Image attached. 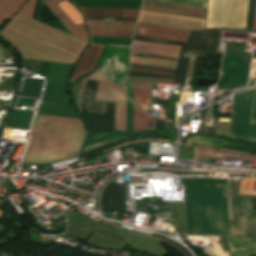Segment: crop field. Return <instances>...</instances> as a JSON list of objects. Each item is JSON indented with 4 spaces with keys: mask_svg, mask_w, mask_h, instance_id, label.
Returning <instances> with one entry per match:
<instances>
[{
    "mask_svg": "<svg viewBox=\"0 0 256 256\" xmlns=\"http://www.w3.org/2000/svg\"><path fill=\"white\" fill-rule=\"evenodd\" d=\"M45 133L42 143L29 142L24 162L48 164L78 156L85 139L79 119L36 114L32 130Z\"/></svg>",
    "mask_w": 256,
    "mask_h": 256,
    "instance_id": "8a807250",
    "label": "crop field"
},
{
    "mask_svg": "<svg viewBox=\"0 0 256 256\" xmlns=\"http://www.w3.org/2000/svg\"><path fill=\"white\" fill-rule=\"evenodd\" d=\"M87 80H100L95 102H116L115 107V130H124L126 128V96L123 91V85L115 84L100 69L92 75L81 79L73 85V95L75 104L80 111L81 97ZM81 112V111H80Z\"/></svg>",
    "mask_w": 256,
    "mask_h": 256,
    "instance_id": "ac0d7876",
    "label": "crop field"
},
{
    "mask_svg": "<svg viewBox=\"0 0 256 256\" xmlns=\"http://www.w3.org/2000/svg\"><path fill=\"white\" fill-rule=\"evenodd\" d=\"M249 0H209L205 28L245 29Z\"/></svg>",
    "mask_w": 256,
    "mask_h": 256,
    "instance_id": "34b2d1b8",
    "label": "crop field"
},
{
    "mask_svg": "<svg viewBox=\"0 0 256 256\" xmlns=\"http://www.w3.org/2000/svg\"><path fill=\"white\" fill-rule=\"evenodd\" d=\"M99 81H88L82 98V116L90 133L113 131L114 104L94 103Z\"/></svg>",
    "mask_w": 256,
    "mask_h": 256,
    "instance_id": "412701ff",
    "label": "crop field"
},
{
    "mask_svg": "<svg viewBox=\"0 0 256 256\" xmlns=\"http://www.w3.org/2000/svg\"><path fill=\"white\" fill-rule=\"evenodd\" d=\"M114 59V67L111 71V60ZM99 68L106 73L115 83L123 84L128 69V48L107 46L105 55Z\"/></svg>",
    "mask_w": 256,
    "mask_h": 256,
    "instance_id": "f4fd0767",
    "label": "crop field"
},
{
    "mask_svg": "<svg viewBox=\"0 0 256 256\" xmlns=\"http://www.w3.org/2000/svg\"><path fill=\"white\" fill-rule=\"evenodd\" d=\"M138 21L197 29L203 28L204 19L142 10Z\"/></svg>",
    "mask_w": 256,
    "mask_h": 256,
    "instance_id": "dd49c442",
    "label": "crop field"
},
{
    "mask_svg": "<svg viewBox=\"0 0 256 256\" xmlns=\"http://www.w3.org/2000/svg\"><path fill=\"white\" fill-rule=\"evenodd\" d=\"M65 0H43V2L49 7V9L56 15V17L62 22V24L69 30V32L77 37H80L87 41L88 34L86 32L84 23L75 26L73 22L68 18L64 11L59 7L57 3ZM37 0H29L19 13L29 17H33L34 9Z\"/></svg>",
    "mask_w": 256,
    "mask_h": 256,
    "instance_id": "e52e79f7",
    "label": "crop field"
},
{
    "mask_svg": "<svg viewBox=\"0 0 256 256\" xmlns=\"http://www.w3.org/2000/svg\"><path fill=\"white\" fill-rule=\"evenodd\" d=\"M255 89L238 96L232 137L247 140Z\"/></svg>",
    "mask_w": 256,
    "mask_h": 256,
    "instance_id": "d8731c3e",
    "label": "crop field"
},
{
    "mask_svg": "<svg viewBox=\"0 0 256 256\" xmlns=\"http://www.w3.org/2000/svg\"><path fill=\"white\" fill-rule=\"evenodd\" d=\"M190 31L138 23L135 35L186 41Z\"/></svg>",
    "mask_w": 256,
    "mask_h": 256,
    "instance_id": "5a996713",
    "label": "crop field"
},
{
    "mask_svg": "<svg viewBox=\"0 0 256 256\" xmlns=\"http://www.w3.org/2000/svg\"><path fill=\"white\" fill-rule=\"evenodd\" d=\"M245 201H234L235 220L230 221L232 236L245 237L244 228L256 227V218H249L250 205H244Z\"/></svg>",
    "mask_w": 256,
    "mask_h": 256,
    "instance_id": "3316defc",
    "label": "crop field"
},
{
    "mask_svg": "<svg viewBox=\"0 0 256 256\" xmlns=\"http://www.w3.org/2000/svg\"><path fill=\"white\" fill-rule=\"evenodd\" d=\"M102 211L117 212L116 219L123 220L124 186L111 185L101 199Z\"/></svg>",
    "mask_w": 256,
    "mask_h": 256,
    "instance_id": "28ad6ade",
    "label": "crop field"
},
{
    "mask_svg": "<svg viewBox=\"0 0 256 256\" xmlns=\"http://www.w3.org/2000/svg\"><path fill=\"white\" fill-rule=\"evenodd\" d=\"M103 48L104 46L89 45V47L86 49L85 53L83 54L81 60L79 61L71 77L70 82L92 71L96 67Z\"/></svg>",
    "mask_w": 256,
    "mask_h": 256,
    "instance_id": "d1516ede",
    "label": "crop field"
},
{
    "mask_svg": "<svg viewBox=\"0 0 256 256\" xmlns=\"http://www.w3.org/2000/svg\"><path fill=\"white\" fill-rule=\"evenodd\" d=\"M180 48L181 47L178 46L165 45L159 43L133 41L131 52L148 53L178 58Z\"/></svg>",
    "mask_w": 256,
    "mask_h": 256,
    "instance_id": "22f410ed",
    "label": "crop field"
},
{
    "mask_svg": "<svg viewBox=\"0 0 256 256\" xmlns=\"http://www.w3.org/2000/svg\"><path fill=\"white\" fill-rule=\"evenodd\" d=\"M238 158L256 161V157L195 147L193 159Z\"/></svg>",
    "mask_w": 256,
    "mask_h": 256,
    "instance_id": "cbeb9de0",
    "label": "crop field"
},
{
    "mask_svg": "<svg viewBox=\"0 0 256 256\" xmlns=\"http://www.w3.org/2000/svg\"><path fill=\"white\" fill-rule=\"evenodd\" d=\"M151 83L134 82V104L149 113Z\"/></svg>",
    "mask_w": 256,
    "mask_h": 256,
    "instance_id": "5142ce71",
    "label": "crop field"
},
{
    "mask_svg": "<svg viewBox=\"0 0 256 256\" xmlns=\"http://www.w3.org/2000/svg\"><path fill=\"white\" fill-rule=\"evenodd\" d=\"M90 29L133 31L136 22L87 20Z\"/></svg>",
    "mask_w": 256,
    "mask_h": 256,
    "instance_id": "d9b57169",
    "label": "crop field"
},
{
    "mask_svg": "<svg viewBox=\"0 0 256 256\" xmlns=\"http://www.w3.org/2000/svg\"><path fill=\"white\" fill-rule=\"evenodd\" d=\"M227 239L231 256H249V254L256 253V243L252 241L229 237Z\"/></svg>",
    "mask_w": 256,
    "mask_h": 256,
    "instance_id": "733c2abd",
    "label": "crop field"
},
{
    "mask_svg": "<svg viewBox=\"0 0 256 256\" xmlns=\"http://www.w3.org/2000/svg\"><path fill=\"white\" fill-rule=\"evenodd\" d=\"M184 48L185 47H182V49H181V53H180V57H179V60H178V66H177V71H176L175 77L148 74V73H140V72H132V71H130L128 75L145 76V77L175 78L174 83H181V85L184 86V77H185L188 61H189V58H190V57H182Z\"/></svg>",
    "mask_w": 256,
    "mask_h": 256,
    "instance_id": "4a817a6b",
    "label": "crop field"
},
{
    "mask_svg": "<svg viewBox=\"0 0 256 256\" xmlns=\"http://www.w3.org/2000/svg\"><path fill=\"white\" fill-rule=\"evenodd\" d=\"M26 0H0V28Z\"/></svg>",
    "mask_w": 256,
    "mask_h": 256,
    "instance_id": "bc2a9ffb",
    "label": "crop field"
},
{
    "mask_svg": "<svg viewBox=\"0 0 256 256\" xmlns=\"http://www.w3.org/2000/svg\"><path fill=\"white\" fill-rule=\"evenodd\" d=\"M83 13L137 16L139 10L79 7Z\"/></svg>",
    "mask_w": 256,
    "mask_h": 256,
    "instance_id": "214f88e0",
    "label": "crop field"
},
{
    "mask_svg": "<svg viewBox=\"0 0 256 256\" xmlns=\"http://www.w3.org/2000/svg\"><path fill=\"white\" fill-rule=\"evenodd\" d=\"M143 4L167 7V8H174V9H181V10H188V11H195V12H202V13H205V10H206V8H203V7L175 4V3L155 1V0H144Z\"/></svg>",
    "mask_w": 256,
    "mask_h": 256,
    "instance_id": "92a150f3",
    "label": "crop field"
},
{
    "mask_svg": "<svg viewBox=\"0 0 256 256\" xmlns=\"http://www.w3.org/2000/svg\"><path fill=\"white\" fill-rule=\"evenodd\" d=\"M126 142H128L126 134H121V135L115 136V137H113V138H110V139L101 141V142H99V143L86 146V147L84 148V152H87V151H89V150L98 148V147L103 146V145H105L106 148L109 149V148L118 146V145H120V144L126 143ZM84 152H83V153H84Z\"/></svg>",
    "mask_w": 256,
    "mask_h": 256,
    "instance_id": "dafd665d",
    "label": "crop field"
},
{
    "mask_svg": "<svg viewBox=\"0 0 256 256\" xmlns=\"http://www.w3.org/2000/svg\"><path fill=\"white\" fill-rule=\"evenodd\" d=\"M131 62L152 65V66H162V67H172L176 68L177 62L167 61L161 59H147V58H139V57H131Z\"/></svg>",
    "mask_w": 256,
    "mask_h": 256,
    "instance_id": "00972430",
    "label": "crop field"
},
{
    "mask_svg": "<svg viewBox=\"0 0 256 256\" xmlns=\"http://www.w3.org/2000/svg\"><path fill=\"white\" fill-rule=\"evenodd\" d=\"M60 7L65 11L75 25L83 23L84 19L81 13L74 8L68 1L59 3Z\"/></svg>",
    "mask_w": 256,
    "mask_h": 256,
    "instance_id": "a9b5d70f",
    "label": "crop field"
},
{
    "mask_svg": "<svg viewBox=\"0 0 256 256\" xmlns=\"http://www.w3.org/2000/svg\"><path fill=\"white\" fill-rule=\"evenodd\" d=\"M148 115L141 112L137 107L134 106V122L133 131H140L147 129Z\"/></svg>",
    "mask_w": 256,
    "mask_h": 256,
    "instance_id": "4177f3b9",
    "label": "crop field"
},
{
    "mask_svg": "<svg viewBox=\"0 0 256 256\" xmlns=\"http://www.w3.org/2000/svg\"><path fill=\"white\" fill-rule=\"evenodd\" d=\"M256 194V178L240 181L239 195Z\"/></svg>",
    "mask_w": 256,
    "mask_h": 256,
    "instance_id": "730fd06b",
    "label": "crop field"
},
{
    "mask_svg": "<svg viewBox=\"0 0 256 256\" xmlns=\"http://www.w3.org/2000/svg\"><path fill=\"white\" fill-rule=\"evenodd\" d=\"M93 36L131 38L133 32L90 30Z\"/></svg>",
    "mask_w": 256,
    "mask_h": 256,
    "instance_id": "eef30255",
    "label": "crop field"
},
{
    "mask_svg": "<svg viewBox=\"0 0 256 256\" xmlns=\"http://www.w3.org/2000/svg\"><path fill=\"white\" fill-rule=\"evenodd\" d=\"M142 8L152 9V10H159V11H166V12H173V13H180V14H187V15H194V16H201V17H204V15H205V14H202V13H195V12H188V11H181V10H174V9L146 6V5H143Z\"/></svg>",
    "mask_w": 256,
    "mask_h": 256,
    "instance_id": "ae1a2a85",
    "label": "crop field"
},
{
    "mask_svg": "<svg viewBox=\"0 0 256 256\" xmlns=\"http://www.w3.org/2000/svg\"><path fill=\"white\" fill-rule=\"evenodd\" d=\"M227 210L229 220L234 219L233 215V205H232V198H231V180L227 179Z\"/></svg>",
    "mask_w": 256,
    "mask_h": 256,
    "instance_id": "d3111659",
    "label": "crop field"
},
{
    "mask_svg": "<svg viewBox=\"0 0 256 256\" xmlns=\"http://www.w3.org/2000/svg\"><path fill=\"white\" fill-rule=\"evenodd\" d=\"M126 80L146 81V82H166V83H173V81H174V79L144 78V77H132V76H127Z\"/></svg>",
    "mask_w": 256,
    "mask_h": 256,
    "instance_id": "750c4746",
    "label": "crop field"
},
{
    "mask_svg": "<svg viewBox=\"0 0 256 256\" xmlns=\"http://www.w3.org/2000/svg\"><path fill=\"white\" fill-rule=\"evenodd\" d=\"M162 1H169V2H176V3H182V4H189V5H196V6L206 7V2L197 1V0H162Z\"/></svg>",
    "mask_w": 256,
    "mask_h": 256,
    "instance_id": "bd1437ed",
    "label": "crop field"
},
{
    "mask_svg": "<svg viewBox=\"0 0 256 256\" xmlns=\"http://www.w3.org/2000/svg\"><path fill=\"white\" fill-rule=\"evenodd\" d=\"M132 122H133V104L128 100V111H127L128 131H132Z\"/></svg>",
    "mask_w": 256,
    "mask_h": 256,
    "instance_id": "1d83c4d3",
    "label": "crop field"
},
{
    "mask_svg": "<svg viewBox=\"0 0 256 256\" xmlns=\"http://www.w3.org/2000/svg\"><path fill=\"white\" fill-rule=\"evenodd\" d=\"M248 141L256 142V124L251 123Z\"/></svg>",
    "mask_w": 256,
    "mask_h": 256,
    "instance_id": "120bbe31",
    "label": "crop field"
},
{
    "mask_svg": "<svg viewBox=\"0 0 256 256\" xmlns=\"http://www.w3.org/2000/svg\"><path fill=\"white\" fill-rule=\"evenodd\" d=\"M125 86L127 95L133 101V82L125 81Z\"/></svg>",
    "mask_w": 256,
    "mask_h": 256,
    "instance_id": "d32e631a",
    "label": "crop field"
},
{
    "mask_svg": "<svg viewBox=\"0 0 256 256\" xmlns=\"http://www.w3.org/2000/svg\"><path fill=\"white\" fill-rule=\"evenodd\" d=\"M85 16L137 19V17H128V16H110V15H92V14H85Z\"/></svg>",
    "mask_w": 256,
    "mask_h": 256,
    "instance_id": "5866460e",
    "label": "crop field"
},
{
    "mask_svg": "<svg viewBox=\"0 0 256 256\" xmlns=\"http://www.w3.org/2000/svg\"><path fill=\"white\" fill-rule=\"evenodd\" d=\"M130 70L174 76V74H171V73H163V72H156V71H149V70H141V69H134V68H130Z\"/></svg>",
    "mask_w": 256,
    "mask_h": 256,
    "instance_id": "028f5c9d",
    "label": "crop field"
},
{
    "mask_svg": "<svg viewBox=\"0 0 256 256\" xmlns=\"http://www.w3.org/2000/svg\"><path fill=\"white\" fill-rule=\"evenodd\" d=\"M155 129L164 130V121L156 119Z\"/></svg>",
    "mask_w": 256,
    "mask_h": 256,
    "instance_id": "e1f06a70",
    "label": "crop field"
},
{
    "mask_svg": "<svg viewBox=\"0 0 256 256\" xmlns=\"http://www.w3.org/2000/svg\"><path fill=\"white\" fill-rule=\"evenodd\" d=\"M87 19H99V20H124V21H136V20H129V19H111V18H94V17H86Z\"/></svg>",
    "mask_w": 256,
    "mask_h": 256,
    "instance_id": "0bd39190",
    "label": "crop field"
},
{
    "mask_svg": "<svg viewBox=\"0 0 256 256\" xmlns=\"http://www.w3.org/2000/svg\"><path fill=\"white\" fill-rule=\"evenodd\" d=\"M155 118L149 116L148 129H154Z\"/></svg>",
    "mask_w": 256,
    "mask_h": 256,
    "instance_id": "b80d0937",
    "label": "crop field"
},
{
    "mask_svg": "<svg viewBox=\"0 0 256 256\" xmlns=\"http://www.w3.org/2000/svg\"><path fill=\"white\" fill-rule=\"evenodd\" d=\"M252 121L256 122V96H255V103H254V110H253Z\"/></svg>",
    "mask_w": 256,
    "mask_h": 256,
    "instance_id": "c035e120",
    "label": "crop field"
},
{
    "mask_svg": "<svg viewBox=\"0 0 256 256\" xmlns=\"http://www.w3.org/2000/svg\"><path fill=\"white\" fill-rule=\"evenodd\" d=\"M253 29H256V9H255V17H254V25H253Z\"/></svg>",
    "mask_w": 256,
    "mask_h": 256,
    "instance_id": "c21b1889",
    "label": "crop field"
},
{
    "mask_svg": "<svg viewBox=\"0 0 256 256\" xmlns=\"http://www.w3.org/2000/svg\"><path fill=\"white\" fill-rule=\"evenodd\" d=\"M249 239H256V238H249Z\"/></svg>",
    "mask_w": 256,
    "mask_h": 256,
    "instance_id": "03da06ac",
    "label": "crop field"
}]
</instances>
